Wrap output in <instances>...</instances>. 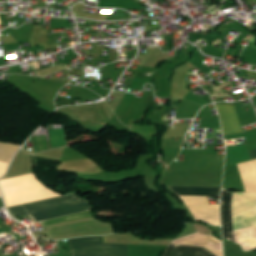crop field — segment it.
<instances>
[{
  "mask_svg": "<svg viewBox=\"0 0 256 256\" xmlns=\"http://www.w3.org/2000/svg\"><path fill=\"white\" fill-rule=\"evenodd\" d=\"M83 201H86V200L82 199L77 195H72L64 198L60 197V198H55V199L36 202V203L9 207L7 209L13 217H16L20 215L48 210L56 207L74 204V203H79ZM89 209L91 208L87 205V202H83V203L74 204L66 207H61V208L43 211L35 214H30L29 216L35 222H39L47 219H53V218H57V217H61L69 214L83 212Z\"/></svg>",
  "mask_w": 256,
  "mask_h": 256,
  "instance_id": "crop-field-1",
  "label": "crop field"
},
{
  "mask_svg": "<svg viewBox=\"0 0 256 256\" xmlns=\"http://www.w3.org/2000/svg\"><path fill=\"white\" fill-rule=\"evenodd\" d=\"M70 256H128V245L103 244L102 237L67 240Z\"/></svg>",
  "mask_w": 256,
  "mask_h": 256,
  "instance_id": "crop-field-2",
  "label": "crop field"
},
{
  "mask_svg": "<svg viewBox=\"0 0 256 256\" xmlns=\"http://www.w3.org/2000/svg\"><path fill=\"white\" fill-rule=\"evenodd\" d=\"M221 208L225 239L235 242L234 192H229L223 189Z\"/></svg>",
  "mask_w": 256,
  "mask_h": 256,
  "instance_id": "crop-field-3",
  "label": "crop field"
},
{
  "mask_svg": "<svg viewBox=\"0 0 256 256\" xmlns=\"http://www.w3.org/2000/svg\"><path fill=\"white\" fill-rule=\"evenodd\" d=\"M221 119L224 135L242 132L233 105H215Z\"/></svg>",
  "mask_w": 256,
  "mask_h": 256,
  "instance_id": "crop-field-4",
  "label": "crop field"
},
{
  "mask_svg": "<svg viewBox=\"0 0 256 256\" xmlns=\"http://www.w3.org/2000/svg\"><path fill=\"white\" fill-rule=\"evenodd\" d=\"M162 256H213L203 248L169 244Z\"/></svg>",
  "mask_w": 256,
  "mask_h": 256,
  "instance_id": "crop-field-5",
  "label": "crop field"
},
{
  "mask_svg": "<svg viewBox=\"0 0 256 256\" xmlns=\"http://www.w3.org/2000/svg\"><path fill=\"white\" fill-rule=\"evenodd\" d=\"M180 197H214L219 196L220 188L168 187Z\"/></svg>",
  "mask_w": 256,
  "mask_h": 256,
  "instance_id": "crop-field-6",
  "label": "crop field"
},
{
  "mask_svg": "<svg viewBox=\"0 0 256 256\" xmlns=\"http://www.w3.org/2000/svg\"><path fill=\"white\" fill-rule=\"evenodd\" d=\"M88 217H91L90 214H89V211L79 213V214L70 215V216H65V217H61V218H57V219H53V220H50V221H45L44 224H45V226H48V225H52V224H56V223H60V222L68 221V220L88 218Z\"/></svg>",
  "mask_w": 256,
  "mask_h": 256,
  "instance_id": "crop-field-7",
  "label": "crop field"
},
{
  "mask_svg": "<svg viewBox=\"0 0 256 256\" xmlns=\"http://www.w3.org/2000/svg\"><path fill=\"white\" fill-rule=\"evenodd\" d=\"M250 156H251V159H256V150H253V151H250Z\"/></svg>",
  "mask_w": 256,
  "mask_h": 256,
  "instance_id": "crop-field-8",
  "label": "crop field"
}]
</instances>
